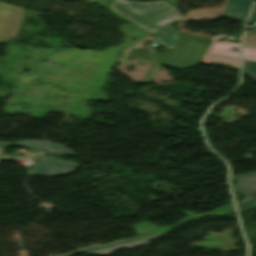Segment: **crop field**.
<instances>
[{"label": "crop field", "mask_w": 256, "mask_h": 256, "mask_svg": "<svg viewBox=\"0 0 256 256\" xmlns=\"http://www.w3.org/2000/svg\"><path fill=\"white\" fill-rule=\"evenodd\" d=\"M114 2L159 27L179 18L178 14L170 5L161 1H157L156 4L154 2L139 3L126 0H115Z\"/></svg>", "instance_id": "obj_1"}, {"label": "crop field", "mask_w": 256, "mask_h": 256, "mask_svg": "<svg viewBox=\"0 0 256 256\" xmlns=\"http://www.w3.org/2000/svg\"><path fill=\"white\" fill-rule=\"evenodd\" d=\"M206 46L197 45L180 36L176 49L165 48L162 64L175 68L198 65Z\"/></svg>", "instance_id": "obj_2"}, {"label": "crop field", "mask_w": 256, "mask_h": 256, "mask_svg": "<svg viewBox=\"0 0 256 256\" xmlns=\"http://www.w3.org/2000/svg\"><path fill=\"white\" fill-rule=\"evenodd\" d=\"M78 166L79 163L76 162L41 156L35 163L31 174L40 176L63 175L67 172H74Z\"/></svg>", "instance_id": "obj_3"}, {"label": "crop field", "mask_w": 256, "mask_h": 256, "mask_svg": "<svg viewBox=\"0 0 256 256\" xmlns=\"http://www.w3.org/2000/svg\"><path fill=\"white\" fill-rule=\"evenodd\" d=\"M222 210H224V212H222ZM234 208H233V205H227V206H224V207H221L215 211H213L212 213H208V214H204V215H195L191 212H188V211H180L186 215H188V218L178 222L177 224L171 226V227H156V226H152L150 224H147V223H140V224H137L135 226L132 227V229L139 235V236H144L145 234L144 233H147L148 235H151L159 230H162L164 232L186 222V221H189V220H193V219H197V218H200V217H204V216H210V215H219V214H226V213H230V212H234ZM145 225V226H141V225ZM160 232V231H159Z\"/></svg>", "instance_id": "obj_4"}, {"label": "crop field", "mask_w": 256, "mask_h": 256, "mask_svg": "<svg viewBox=\"0 0 256 256\" xmlns=\"http://www.w3.org/2000/svg\"><path fill=\"white\" fill-rule=\"evenodd\" d=\"M252 173V172H251ZM238 178V184L232 186L233 190L249 197L243 202L237 203L238 208H247L256 200V173L234 176Z\"/></svg>", "instance_id": "obj_5"}, {"label": "crop field", "mask_w": 256, "mask_h": 256, "mask_svg": "<svg viewBox=\"0 0 256 256\" xmlns=\"http://www.w3.org/2000/svg\"><path fill=\"white\" fill-rule=\"evenodd\" d=\"M0 146H3L2 155H5V152L8 146H20V147L29 148V149L41 150L46 153H53V154L73 155L71 151L67 150L66 148L62 147L59 144H52L50 142L37 141V140H23L15 144L0 143Z\"/></svg>", "instance_id": "obj_6"}, {"label": "crop field", "mask_w": 256, "mask_h": 256, "mask_svg": "<svg viewBox=\"0 0 256 256\" xmlns=\"http://www.w3.org/2000/svg\"><path fill=\"white\" fill-rule=\"evenodd\" d=\"M19 19V11L0 4V39L11 37Z\"/></svg>", "instance_id": "obj_7"}, {"label": "crop field", "mask_w": 256, "mask_h": 256, "mask_svg": "<svg viewBox=\"0 0 256 256\" xmlns=\"http://www.w3.org/2000/svg\"><path fill=\"white\" fill-rule=\"evenodd\" d=\"M231 3H235V5H231ZM252 3L253 0H228L225 5L226 10L221 15L245 22Z\"/></svg>", "instance_id": "obj_8"}, {"label": "crop field", "mask_w": 256, "mask_h": 256, "mask_svg": "<svg viewBox=\"0 0 256 256\" xmlns=\"http://www.w3.org/2000/svg\"><path fill=\"white\" fill-rule=\"evenodd\" d=\"M163 234H164L163 232H160V233H158L156 235H153L149 238L139 239V240H135V241H131V242L111 246V247H108V248H104V249H100V250H97V251L89 252V254H96V255L100 256V255H104V254L113 253L117 249L131 248V247L147 244V243H150L151 240L161 237Z\"/></svg>", "instance_id": "obj_9"}, {"label": "crop field", "mask_w": 256, "mask_h": 256, "mask_svg": "<svg viewBox=\"0 0 256 256\" xmlns=\"http://www.w3.org/2000/svg\"><path fill=\"white\" fill-rule=\"evenodd\" d=\"M108 6L111 7L112 9L116 10L120 14L124 15L125 17H127L128 19H130L131 21L138 24L139 26H141L142 28H144L145 30L149 31L152 34L155 33L156 30L158 29V27L142 20L141 18L137 17L136 15L130 13L129 11L123 9L122 7L118 6L117 4H115L113 2L111 4H109Z\"/></svg>", "instance_id": "obj_10"}, {"label": "crop field", "mask_w": 256, "mask_h": 256, "mask_svg": "<svg viewBox=\"0 0 256 256\" xmlns=\"http://www.w3.org/2000/svg\"><path fill=\"white\" fill-rule=\"evenodd\" d=\"M231 46H239L240 47V44L225 43V42H213V45L211 47H208L206 53L239 58L238 54H235L228 50V48Z\"/></svg>", "instance_id": "obj_11"}, {"label": "crop field", "mask_w": 256, "mask_h": 256, "mask_svg": "<svg viewBox=\"0 0 256 256\" xmlns=\"http://www.w3.org/2000/svg\"><path fill=\"white\" fill-rule=\"evenodd\" d=\"M178 37V35L167 33L161 29L156 33V38L164 47L176 48Z\"/></svg>", "instance_id": "obj_12"}, {"label": "crop field", "mask_w": 256, "mask_h": 256, "mask_svg": "<svg viewBox=\"0 0 256 256\" xmlns=\"http://www.w3.org/2000/svg\"><path fill=\"white\" fill-rule=\"evenodd\" d=\"M216 61L225 65L239 67V60L205 54L201 62Z\"/></svg>", "instance_id": "obj_13"}, {"label": "crop field", "mask_w": 256, "mask_h": 256, "mask_svg": "<svg viewBox=\"0 0 256 256\" xmlns=\"http://www.w3.org/2000/svg\"><path fill=\"white\" fill-rule=\"evenodd\" d=\"M137 238H141V237H137ZM137 238L126 239V240H119V241H115V242H112V243H108L106 245L88 246V247L80 248V249H78V251L67 253V254H63V255H58V256H71V255L76 254V253L85 252V251H89V250H93V249H98V248H102V247H107V246L123 243V242H126V241L134 240V239H137Z\"/></svg>", "instance_id": "obj_14"}, {"label": "crop field", "mask_w": 256, "mask_h": 256, "mask_svg": "<svg viewBox=\"0 0 256 256\" xmlns=\"http://www.w3.org/2000/svg\"><path fill=\"white\" fill-rule=\"evenodd\" d=\"M180 34L189 37L190 39L194 40L195 42H197L199 44L208 45V43H209V38L208 37H197V36H193L191 34L182 32V31H181Z\"/></svg>", "instance_id": "obj_15"}, {"label": "crop field", "mask_w": 256, "mask_h": 256, "mask_svg": "<svg viewBox=\"0 0 256 256\" xmlns=\"http://www.w3.org/2000/svg\"><path fill=\"white\" fill-rule=\"evenodd\" d=\"M255 39H256L255 34L245 36L244 47L256 48Z\"/></svg>", "instance_id": "obj_16"}, {"label": "crop field", "mask_w": 256, "mask_h": 256, "mask_svg": "<svg viewBox=\"0 0 256 256\" xmlns=\"http://www.w3.org/2000/svg\"><path fill=\"white\" fill-rule=\"evenodd\" d=\"M243 59L256 61V49L244 48Z\"/></svg>", "instance_id": "obj_17"}, {"label": "crop field", "mask_w": 256, "mask_h": 256, "mask_svg": "<svg viewBox=\"0 0 256 256\" xmlns=\"http://www.w3.org/2000/svg\"><path fill=\"white\" fill-rule=\"evenodd\" d=\"M243 67L251 71L256 72V62L253 61H243Z\"/></svg>", "instance_id": "obj_18"}, {"label": "crop field", "mask_w": 256, "mask_h": 256, "mask_svg": "<svg viewBox=\"0 0 256 256\" xmlns=\"http://www.w3.org/2000/svg\"><path fill=\"white\" fill-rule=\"evenodd\" d=\"M254 11L251 13L249 25H253L256 22V3L253 7Z\"/></svg>", "instance_id": "obj_19"}, {"label": "crop field", "mask_w": 256, "mask_h": 256, "mask_svg": "<svg viewBox=\"0 0 256 256\" xmlns=\"http://www.w3.org/2000/svg\"><path fill=\"white\" fill-rule=\"evenodd\" d=\"M162 28L166 29L167 31L174 32V33H178V34H179V32H180V30H178V29H176V28H174V27H172V26H169V25L163 26Z\"/></svg>", "instance_id": "obj_20"}, {"label": "crop field", "mask_w": 256, "mask_h": 256, "mask_svg": "<svg viewBox=\"0 0 256 256\" xmlns=\"http://www.w3.org/2000/svg\"><path fill=\"white\" fill-rule=\"evenodd\" d=\"M243 73L248 75V76H250V77H252L254 79V81H256V73L248 71V70H246L244 68H243Z\"/></svg>", "instance_id": "obj_21"}, {"label": "crop field", "mask_w": 256, "mask_h": 256, "mask_svg": "<svg viewBox=\"0 0 256 256\" xmlns=\"http://www.w3.org/2000/svg\"><path fill=\"white\" fill-rule=\"evenodd\" d=\"M254 206H256V203H254L252 206H250V207H254Z\"/></svg>", "instance_id": "obj_22"}, {"label": "crop field", "mask_w": 256, "mask_h": 256, "mask_svg": "<svg viewBox=\"0 0 256 256\" xmlns=\"http://www.w3.org/2000/svg\"><path fill=\"white\" fill-rule=\"evenodd\" d=\"M2 147H0V156H1Z\"/></svg>", "instance_id": "obj_23"}]
</instances>
